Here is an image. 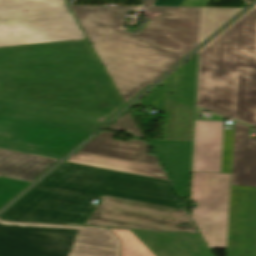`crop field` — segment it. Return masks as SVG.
<instances>
[{
  "instance_id": "crop-field-1",
  "label": "crop field",
  "mask_w": 256,
  "mask_h": 256,
  "mask_svg": "<svg viewBox=\"0 0 256 256\" xmlns=\"http://www.w3.org/2000/svg\"><path fill=\"white\" fill-rule=\"evenodd\" d=\"M0 99L108 118L124 106L87 40L0 48Z\"/></svg>"
},
{
  "instance_id": "crop-field-14",
  "label": "crop field",
  "mask_w": 256,
  "mask_h": 256,
  "mask_svg": "<svg viewBox=\"0 0 256 256\" xmlns=\"http://www.w3.org/2000/svg\"><path fill=\"white\" fill-rule=\"evenodd\" d=\"M223 121H196L193 171L220 172Z\"/></svg>"
},
{
  "instance_id": "crop-field-13",
  "label": "crop field",
  "mask_w": 256,
  "mask_h": 256,
  "mask_svg": "<svg viewBox=\"0 0 256 256\" xmlns=\"http://www.w3.org/2000/svg\"><path fill=\"white\" fill-rule=\"evenodd\" d=\"M155 256H212L201 235L130 230Z\"/></svg>"
},
{
  "instance_id": "crop-field-15",
  "label": "crop field",
  "mask_w": 256,
  "mask_h": 256,
  "mask_svg": "<svg viewBox=\"0 0 256 256\" xmlns=\"http://www.w3.org/2000/svg\"><path fill=\"white\" fill-rule=\"evenodd\" d=\"M115 135L117 134L102 131L79 152L161 167L155 155L147 154L148 146L145 141L130 139L124 142L112 139Z\"/></svg>"
},
{
  "instance_id": "crop-field-25",
  "label": "crop field",
  "mask_w": 256,
  "mask_h": 256,
  "mask_svg": "<svg viewBox=\"0 0 256 256\" xmlns=\"http://www.w3.org/2000/svg\"><path fill=\"white\" fill-rule=\"evenodd\" d=\"M109 129L128 131L133 136L143 138L129 111L112 124Z\"/></svg>"
},
{
  "instance_id": "crop-field-11",
  "label": "crop field",
  "mask_w": 256,
  "mask_h": 256,
  "mask_svg": "<svg viewBox=\"0 0 256 256\" xmlns=\"http://www.w3.org/2000/svg\"><path fill=\"white\" fill-rule=\"evenodd\" d=\"M227 256H256V188L231 186Z\"/></svg>"
},
{
  "instance_id": "crop-field-30",
  "label": "crop field",
  "mask_w": 256,
  "mask_h": 256,
  "mask_svg": "<svg viewBox=\"0 0 256 256\" xmlns=\"http://www.w3.org/2000/svg\"><path fill=\"white\" fill-rule=\"evenodd\" d=\"M155 0H145L142 6H152Z\"/></svg>"
},
{
  "instance_id": "crop-field-17",
  "label": "crop field",
  "mask_w": 256,
  "mask_h": 256,
  "mask_svg": "<svg viewBox=\"0 0 256 256\" xmlns=\"http://www.w3.org/2000/svg\"><path fill=\"white\" fill-rule=\"evenodd\" d=\"M73 9H79L92 13L87 19H78L91 43L96 42L106 33L114 30L125 21L121 20L126 10H137L138 7L126 6H71Z\"/></svg>"
},
{
  "instance_id": "crop-field-28",
  "label": "crop field",
  "mask_w": 256,
  "mask_h": 256,
  "mask_svg": "<svg viewBox=\"0 0 256 256\" xmlns=\"http://www.w3.org/2000/svg\"><path fill=\"white\" fill-rule=\"evenodd\" d=\"M209 0H184L182 6L206 7Z\"/></svg>"
},
{
  "instance_id": "crop-field-10",
  "label": "crop field",
  "mask_w": 256,
  "mask_h": 256,
  "mask_svg": "<svg viewBox=\"0 0 256 256\" xmlns=\"http://www.w3.org/2000/svg\"><path fill=\"white\" fill-rule=\"evenodd\" d=\"M230 174L193 173L192 217L209 248L226 249Z\"/></svg>"
},
{
  "instance_id": "crop-field-23",
  "label": "crop field",
  "mask_w": 256,
  "mask_h": 256,
  "mask_svg": "<svg viewBox=\"0 0 256 256\" xmlns=\"http://www.w3.org/2000/svg\"><path fill=\"white\" fill-rule=\"evenodd\" d=\"M144 12H158L162 17L200 18V8L190 7H142Z\"/></svg>"
},
{
  "instance_id": "crop-field-19",
  "label": "crop field",
  "mask_w": 256,
  "mask_h": 256,
  "mask_svg": "<svg viewBox=\"0 0 256 256\" xmlns=\"http://www.w3.org/2000/svg\"><path fill=\"white\" fill-rule=\"evenodd\" d=\"M66 161L168 180L162 168L90 154L76 152Z\"/></svg>"
},
{
  "instance_id": "crop-field-8",
  "label": "crop field",
  "mask_w": 256,
  "mask_h": 256,
  "mask_svg": "<svg viewBox=\"0 0 256 256\" xmlns=\"http://www.w3.org/2000/svg\"><path fill=\"white\" fill-rule=\"evenodd\" d=\"M164 111L162 141H148L171 178L180 197L189 196L193 106L154 89L140 101Z\"/></svg>"
},
{
  "instance_id": "crop-field-26",
  "label": "crop field",
  "mask_w": 256,
  "mask_h": 256,
  "mask_svg": "<svg viewBox=\"0 0 256 256\" xmlns=\"http://www.w3.org/2000/svg\"><path fill=\"white\" fill-rule=\"evenodd\" d=\"M233 131H224L221 173H230L232 158Z\"/></svg>"
},
{
  "instance_id": "crop-field-24",
  "label": "crop field",
  "mask_w": 256,
  "mask_h": 256,
  "mask_svg": "<svg viewBox=\"0 0 256 256\" xmlns=\"http://www.w3.org/2000/svg\"><path fill=\"white\" fill-rule=\"evenodd\" d=\"M28 184L30 183L0 177V208Z\"/></svg>"
},
{
  "instance_id": "crop-field-3",
  "label": "crop field",
  "mask_w": 256,
  "mask_h": 256,
  "mask_svg": "<svg viewBox=\"0 0 256 256\" xmlns=\"http://www.w3.org/2000/svg\"><path fill=\"white\" fill-rule=\"evenodd\" d=\"M197 105L256 125V8L200 51Z\"/></svg>"
},
{
  "instance_id": "crop-field-4",
  "label": "crop field",
  "mask_w": 256,
  "mask_h": 256,
  "mask_svg": "<svg viewBox=\"0 0 256 256\" xmlns=\"http://www.w3.org/2000/svg\"><path fill=\"white\" fill-rule=\"evenodd\" d=\"M96 117L0 100V149L59 159L101 125Z\"/></svg>"
},
{
  "instance_id": "crop-field-6",
  "label": "crop field",
  "mask_w": 256,
  "mask_h": 256,
  "mask_svg": "<svg viewBox=\"0 0 256 256\" xmlns=\"http://www.w3.org/2000/svg\"><path fill=\"white\" fill-rule=\"evenodd\" d=\"M132 27L111 31L93 44L124 102L186 56L132 35L138 30Z\"/></svg>"
},
{
  "instance_id": "crop-field-12",
  "label": "crop field",
  "mask_w": 256,
  "mask_h": 256,
  "mask_svg": "<svg viewBox=\"0 0 256 256\" xmlns=\"http://www.w3.org/2000/svg\"><path fill=\"white\" fill-rule=\"evenodd\" d=\"M144 14L152 21L137 36L186 54L198 46L200 19L162 18L158 13Z\"/></svg>"
},
{
  "instance_id": "crop-field-22",
  "label": "crop field",
  "mask_w": 256,
  "mask_h": 256,
  "mask_svg": "<svg viewBox=\"0 0 256 256\" xmlns=\"http://www.w3.org/2000/svg\"><path fill=\"white\" fill-rule=\"evenodd\" d=\"M110 230L120 241L121 256H154L129 230Z\"/></svg>"
},
{
  "instance_id": "crop-field-7",
  "label": "crop field",
  "mask_w": 256,
  "mask_h": 256,
  "mask_svg": "<svg viewBox=\"0 0 256 256\" xmlns=\"http://www.w3.org/2000/svg\"><path fill=\"white\" fill-rule=\"evenodd\" d=\"M85 39L64 0H0V47Z\"/></svg>"
},
{
  "instance_id": "crop-field-20",
  "label": "crop field",
  "mask_w": 256,
  "mask_h": 256,
  "mask_svg": "<svg viewBox=\"0 0 256 256\" xmlns=\"http://www.w3.org/2000/svg\"><path fill=\"white\" fill-rule=\"evenodd\" d=\"M197 55L163 82L162 89L194 104Z\"/></svg>"
},
{
  "instance_id": "crop-field-18",
  "label": "crop field",
  "mask_w": 256,
  "mask_h": 256,
  "mask_svg": "<svg viewBox=\"0 0 256 256\" xmlns=\"http://www.w3.org/2000/svg\"><path fill=\"white\" fill-rule=\"evenodd\" d=\"M55 160L0 151V173L5 177L32 182Z\"/></svg>"
},
{
  "instance_id": "crop-field-29",
  "label": "crop field",
  "mask_w": 256,
  "mask_h": 256,
  "mask_svg": "<svg viewBox=\"0 0 256 256\" xmlns=\"http://www.w3.org/2000/svg\"><path fill=\"white\" fill-rule=\"evenodd\" d=\"M73 10V9H72ZM77 18H87L90 16V14L78 10H73Z\"/></svg>"
},
{
  "instance_id": "crop-field-9",
  "label": "crop field",
  "mask_w": 256,
  "mask_h": 256,
  "mask_svg": "<svg viewBox=\"0 0 256 256\" xmlns=\"http://www.w3.org/2000/svg\"><path fill=\"white\" fill-rule=\"evenodd\" d=\"M88 226L199 234L187 212L104 196Z\"/></svg>"
},
{
  "instance_id": "crop-field-16",
  "label": "crop field",
  "mask_w": 256,
  "mask_h": 256,
  "mask_svg": "<svg viewBox=\"0 0 256 256\" xmlns=\"http://www.w3.org/2000/svg\"><path fill=\"white\" fill-rule=\"evenodd\" d=\"M248 132V125L235 121L231 185L256 187V138Z\"/></svg>"
},
{
  "instance_id": "crop-field-27",
  "label": "crop field",
  "mask_w": 256,
  "mask_h": 256,
  "mask_svg": "<svg viewBox=\"0 0 256 256\" xmlns=\"http://www.w3.org/2000/svg\"><path fill=\"white\" fill-rule=\"evenodd\" d=\"M183 0H156L153 6H180Z\"/></svg>"
},
{
  "instance_id": "crop-field-21",
  "label": "crop field",
  "mask_w": 256,
  "mask_h": 256,
  "mask_svg": "<svg viewBox=\"0 0 256 256\" xmlns=\"http://www.w3.org/2000/svg\"><path fill=\"white\" fill-rule=\"evenodd\" d=\"M243 8H201L199 44Z\"/></svg>"
},
{
  "instance_id": "crop-field-5",
  "label": "crop field",
  "mask_w": 256,
  "mask_h": 256,
  "mask_svg": "<svg viewBox=\"0 0 256 256\" xmlns=\"http://www.w3.org/2000/svg\"><path fill=\"white\" fill-rule=\"evenodd\" d=\"M0 256H120L109 229L0 222Z\"/></svg>"
},
{
  "instance_id": "crop-field-2",
  "label": "crop field",
  "mask_w": 256,
  "mask_h": 256,
  "mask_svg": "<svg viewBox=\"0 0 256 256\" xmlns=\"http://www.w3.org/2000/svg\"><path fill=\"white\" fill-rule=\"evenodd\" d=\"M104 195L185 210L170 181L63 162L0 220L81 225Z\"/></svg>"
}]
</instances>
